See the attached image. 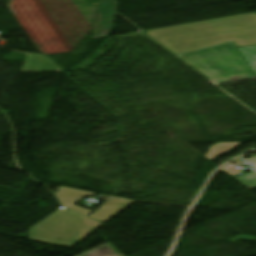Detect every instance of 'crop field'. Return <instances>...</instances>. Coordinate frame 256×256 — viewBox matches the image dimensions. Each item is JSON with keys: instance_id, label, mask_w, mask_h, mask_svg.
<instances>
[{"instance_id": "8a807250", "label": "crop field", "mask_w": 256, "mask_h": 256, "mask_svg": "<svg viewBox=\"0 0 256 256\" xmlns=\"http://www.w3.org/2000/svg\"><path fill=\"white\" fill-rule=\"evenodd\" d=\"M177 56L216 84L256 78L233 42Z\"/></svg>"}, {"instance_id": "ac0d7876", "label": "crop field", "mask_w": 256, "mask_h": 256, "mask_svg": "<svg viewBox=\"0 0 256 256\" xmlns=\"http://www.w3.org/2000/svg\"><path fill=\"white\" fill-rule=\"evenodd\" d=\"M96 1L99 2V10L93 39L106 37L112 31L114 17L118 6L115 0Z\"/></svg>"}, {"instance_id": "34b2d1b8", "label": "crop field", "mask_w": 256, "mask_h": 256, "mask_svg": "<svg viewBox=\"0 0 256 256\" xmlns=\"http://www.w3.org/2000/svg\"><path fill=\"white\" fill-rule=\"evenodd\" d=\"M60 71L44 56L27 54L25 65L21 72Z\"/></svg>"}, {"instance_id": "412701ff", "label": "crop field", "mask_w": 256, "mask_h": 256, "mask_svg": "<svg viewBox=\"0 0 256 256\" xmlns=\"http://www.w3.org/2000/svg\"><path fill=\"white\" fill-rule=\"evenodd\" d=\"M253 72L256 74V46L238 48Z\"/></svg>"}, {"instance_id": "f4fd0767", "label": "crop field", "mask_w": 256, "mask_h": 256, "mask_svg": "<svg viewBox=\"0 0 256 256\" xmlns=\"http://www.w3.org/2000/svg\"><path fill=\"white\" fill-rule=\"evenodd\" d=\"M239 183L244 185L249 190L256 188V174H248L235 178Z\"/></svg>"}, {"instance_id": "dd49c442", "label": "crop field", "mask_w": 256, "mask_h": 256, "mask_svg": "<svg viewBox=\"0 0 256 256\" xmlns=\"http://www.w3.org/2000/svg\"><path fill=\"white\" fill-rule=\"evenodd\" d=\"M245 161L248 162V163H251V164L255 165V166L252 167V168L256 170V157H255V156H253V157H251V158H249V159H247V160H245ZM255 172H256V171H255Z\"/></svg>"}, {"instance_id": "e52e79f7", "label": "crop field", "mask_w": 256, "mask_h": 256, "mask_svg": "<svg viewBox=\"0 0 256 256\" xmlns=\"http://www.w3.org/2000/svg\"><path fill=\"white\" fill-rule=\"evenodd\" d=\"M228 165H229V164H228ZM229 167H231V168H233V169H235V170H237V171L241 172V170H240V169H238V168H236V167H234V166L229 165ZM221 171H223V172H225V173H227V174H229V175L233 176V174H231V173H229V172H227V171H225V170H223V169H221Z\"/></svg>"}]
</instances>
